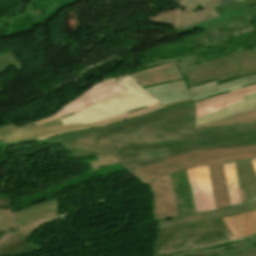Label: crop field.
I'll use <instances>...</instances> for the list:
<instances>
[{"label": "crop field", "mask_w": 256, "mask_h": 256, "mask_svg": "<svg viewBox=\"0 0 256 256\" xmlns=\"http://www.w3.org/2000/svg\"><path fill=\"white\" fill-rule=\"evenodd\" d=\"M193 102L109 125L117 158L130 171L191 150L256 145V121L194 130Z\"/></svg>", "instance_id": "crop-field-1"}, {"label": "crop field", "mask_w": 256, "mask_h": 256, "mask_svg": "<svg viewBox=\"0 0 256 256\" xmlns=\"http://www.w3.org/2000/svg\"><path fill=\"white\" fill-rule=\"evenodd\" d=\"M234 38L239 39L237 35L203 45H211L214 48L221 44L226 47L227 45L223 44V42L227 40L235 42ZM248 41L250 42L249 45L253 46V50L242 51L243 48H241L231 53L230 48L232 47L227 46L228 48L224 52L203 60L198 57L200 56L198 53L203 52V50L195 51L194 48L195 52L188 56L178 55V58H170L167 61L154 57L151 58V63H146L136 69L141 71L152 66L174 61L181 75L187 77L188 87L213 79L221 82L237 76L256 73V35L249 32Z\"/></svg>", "instance_id": "crop-field-2"}, {"label": "crop field", "mask_w": 256, "mask_h": 256, "mask_svg": "<svg viewBox=\"0 0 256 256\" xmlns=\"http://www.w3.org/2000/svg\"><path fill=\"white\" fill-rule=\"evenodd\" d=\"M256 158V146L191 151L134 170L145 181L154 180L181 169L209 164L216 207L230 206L222 162Z\"/></svg>", "instance_id": "crop-field-3"}, {"label": "crop field", "mask_w": 256, "mask_h": 256, "mask_svg": "<svg viewBox=\"0 0 256 256\" xmlns=\"http://www.w3.org/2000/svg\"><path fill=\"white\" fill-rule=\"evenodd\" d=\"M236 242L221 218L214 217L159 231L155 256L203 249Z\"/></svg>", "instance_id": "crop-field-4"}, {"label": "crop field", "mask_w": 256, "mask_h": 256, "mask_svg": "<svg viewBox=\"0 0 256 256\" xmlns=\"http://www.w3.org/2000/svg\"><path fill=\"white\" fill-rule=\"evenodd\" d=\"M216 10L220 17L177 32L180 36L198 30L205 31L184 40V43L190 40L199 42L188 48L256 29V0H242L216 7Z\"/></svg>", "instance_id": "crop-field-5"}, {"label": "crop field", "mask_w": 256, "mask_h": 256, "mask_svg": "<svg viewBox=\"0 0 256 256\" xmlns=\"http://www.w3.org/2000/svg\"><path fill=\"white\" fill-rule=\"evenodd\" d=\"M116 80L126 91L89 108L61 118L65 124H86L138 110L159 101L145 92L128 74Z\"/></svg>", "instance_id": "crop-field-6"}, {"label": "crop field", "mask_w": 256, "mask_h": 256, "mask_svg": "<svg viewBox=\"0 0 256 256\" xmlns=\"http://www.w3.org/2000/svg\"><path fill=\"white\" fill-rule=\"evenodd\" d=\"M38 143L53 145L63 144L67 151H77L69 154L73 156V158L97 154L98 160L89 162L94 169L119 163L110 142L106 126L64 135Z\"/></svg>", "instance_id": "crop-field-7"}, {"label": "crop field", "mask_w": 256, "mask_h": 256, "mask_svg": "<svg viewBox=\"0 0 256 256\" xmlns=\"http://www.w3.org/2000/svg\"><path fill=\"white\" fill-rule=\"evenodd\" d=\"M256 83V75L244 77L233 82L219 85L215 80L188 88L183 81L177 80L169 83L145 87L148 93L158 99L162 105L183 99L193 98L200 101L225 92Z\"/></svg>", "instance_id": "crop-field-8"}, {"label": "crop field", "mask_w": 256, "mask_h": 256, "mask_svg": "<svg viewBox=\"0 0 256 256\" xmlns=\"http://www.w3.org/2000/svg\"><path fill=\"white\" fill-rule=\"evenodd\" d=\"M7 196L0 197V231L10 230L29 222L59 216L57 199L12 213Z\"/></svg>", "instance_id": "crop-field-9"}, {"label": "crop field", "mask_w": 256, "mask_h": 256, "mask_svg": "<svg viewBox=\"0 0 256 256\" xmlns=\"http://www.w3.org/2000/svg\"><path fill=\"white\" fill-rule=\"evenodd\" d=\"M124 92L121 86L114 80H105L81 96L77 99L69 103L67 106L56 112L55 114L48 116L46 118L40 119L38 121L33 122L36 126L44 124L46 122L61 118L63 116L69 115L72 112H77L81 109L89 107L93 104H96L100 101L108 99L112 96L120 94Z\"/></svg>", "instance_id": "crop-field-10"}, {"label": "crop field", "mask_w": 256, "mask_h": 256, "mask_svg": "<svg viewBox=\"0 0 256 256\" xmlns=\"http://www.w3.org/2000/svg\"><path fill=\"white\" fill-rule=\"evenodd\" d=\"M240 0H184L178 18L177 31L218 17L214 7Z\"/></svg>", "instance_id": "crop-field-11"}, {"label": "crop field", "mask_w": 256, "mask_h": 256, "mask_svg": "<svg viewBox=\"0 0 256 256\" xmlns=\"http://www.w3.org/2000/svg\"><path fill=\"white\" fill-rule=\"evenodd\" d=\"M154 194L155 221L178 217L176 196L170 175L148 182Z\"/></svg>", "instance_id": "crop-field-12"}, {"label": "crop field", "mask_w": 256, "mask_h": 256, "mask_svg": "<svg viewBox=\"0 0 256 256\" xmlns=\"http://www.w3.org/2000/svg\"><path fill=\"white\" fill-rule=\"evenodd\" d=\"M256 93V84L194 103L195 120L243 101L244 96Z\"/></svg>", "instance_id": "crop-field-13"}, {"label": "crop field", "mask_w": 256, "mask_h": 256, "mask_svg": "<svg viewBox=\"0 0 256 256\" xmlns=\"http://www.w3.org/2000/svg\"><path fill=\"white\" fill-rule=\"evenodd\" d=\"M191 101H193V100L192 99L183 100V101H179V102H175V103L166 104L164 106H162L161 103H158V104L151 105V106H148L146 108L140 109L138 111L128 113L126 115H122V116H118V117H114V118H110V119L90 123V124H87V126L77 127V128H73V129H69V130H65V131H61V132L52 133V134H49V135H46V136H43V137H40V138L34 137V138L25 139V140H21V141H17V142H12V143H8V144H5V145L10 146V145H15V144H20V143L34 142V141H39V140H43V139H47V138H51V137H55V136H59V135H64V134H68V133H72V132L92 129V128H96V127H99V126L113 124V123H117V122H120V121L132 119L136 116H139V115H142V114H145V113L154 112V111H157V110L169 107V106H173V105H177V104H181V103H186V102H191Z\"/></svg>", "instance_id": "crop-field-14"}, {"label": "crop field", "mask_w": 256, "mask_h": 256, "mask_svg": "<svg viewBox=\"0 0 256 256\" xmlns=\"http://www.w3.org/2000/svg\"><path fill=\"white\" fill-rule=\"evenodd\" d=\"M129 75H131L142 87L182 78L174 62Z\"/></svg>", "instance_id": "crop-field-15"}, {"label": "crop field", "mask_w": 256, "mask_h": 256, "mask_svg": "<svg viewBox=\"0 0 256 256\" xmlns=\"http://www.w3.org/2000/svg\"><path fill=\"white\" fill-rule=\"evenodd\" d=\"M242 202L256 198V174L250 159L235 162Z\"/></svg>", "instance_id": "crop-field-16"}, {"label": "crop field", "mask_w": 256, "mask_h": 256, "mask_svg": "<svg viewBox=\"0 0 256 256\" xmlns=\"http://www.w3.org/2000/svg\"><path fill=\"white\" fill-rule=\"evenodd\" d=\"M197 186L202 212L216 210L208 165L191 168Z\"/></svg>", "instance_id": "crop-field-17"}, {"label": "crop field", "mask_w": 256, "mask_h": 256, "mask_svg": "<svg viewBox=\"0 0 256 256\" xmlns=\"http://www.w3.org/2000/svg\"><path fill=\"white\" fill-rule=\"evenodd\" d=\"M42 247L30 245L18 231L0 235V256L32 253Z\"/></svg>", "instance_id": "crop-field-18"}, {"label": "crop field", "mask_w": 256, "mask_h": 256, "mask_svg": "<svg viewBox=\"0 0 256 256\" xmlns=\"http://www.w3.org/2000/svg\"><path fill=\"white\" fill-rule=\"evenodd\" d=\"M253 209L254 207L250 204V202H247L239 206L229 207V208H225V209H221L213 212L193 214V215H189V216H185L177 219L160 221V222H157V224L159 228L162 229V228L174 226L177 224L188 223V222H192V221H196V220H200V219H204L212 216H215L216 218H218V217H224L228 215H235V214H239V213L246 212Z\"/></svg>", "instance_id": "crop-field-19"}, {"label": "crop field", "mask_w": 256, "mask_h": 256, "mask_svg": "<svg viewBox=\"0 0 256 256\" xmlns=\"http://www.w3.org/2000/svg\"><path fill=\"white\" fill-rule=\"evenodd\" d=\"M229 232L236 239L249 236L256 228V210L223 218Z\"/></svg>", "instance_id": "crop-field-20"}, {"label": "crop field", "mask_w": 256, "mask_h": 256, "mask_svg": "<svg viewBox=\"0 0 256 256\" xmlns=\"http://www.w3.org/2000/svg\"><path fill=\"white\" fill-rule=\"evenodd\" d=\"M171 176L177 196L179 215L195 212L186 170Z\"/></svg>", "instance_id": "crop-field-21"}, {"label": "crop field", "mask_w": 256, "mask_h": 256, "mask_svg": "<svg viewBox=\"0 0 256 256\" xmlns=\"http://www.w3.org/2000/svg\"><path fill=\"white\" fill-rule=\"evenodd\" d=\"M216 251L219 256H256V239L244 241L235 245L227 246L216 250H197L169 256H187Z\"/></svg>", "instance_id": "crop-field-22"}, {"label": "crop field", "mask_w": 256, "mask_h": 256, "mask_svg": "<svg viewBox=\"0 0 256 256\" xmlns=\"http://www.w3.org/2000/svg\"><path fill=\"white\" fill-rule=\"evenodd\" d=\"M253 96H256V94L244 97L245 101H243L241 103H238L234 106H231L227 109H224L222 111L211 114V115L206 116L204 118L198 119V120L195 121V125H199V124L211 122V121H214V120L234 116V115H237V114L242 113L244 111L255 109L256 108V101H255Z\"/></svg>", "instance_id": "crop-field-23"}, {"label": "crop field", "mask_w": 256, "mask_h": 256, "mask_svg": "<svg viewBox=\"0 0 256 256\" xmlns=\"http://www.w3.org/2000/svg\"><path fill=\"white\" fill-rule=\"evenodd\" d=\"M38 3L34 5L39 9L44 10V14L35 18L40 24L50 18L55 13L63 8L75 3L77 0H37Z\"/></svg>", "instance_id": "crop-field-24"}, {"label": "crop field", "mask_w": 256, "mask_h": 256, "mask_svg": "<svg viewBox=\"0 0 256 256\" xmlns=\"http://www.w3.org/2000/svg\"><path fill=\"white\" fill-rule=\"evenodd\" d=\"M60 125H64V123L60 119L49 122L47 124H44V125H41V126H38V127H36L33 123H30V124L25 125L23 127L14 128V129H12L8 132H5V133L1 134L0 135V141L5 140V139H9V138H13V137H17V136H21V135H25V134H29V133H33V132H36V131H40V130L60 126Z\"/></svg>", "instance_id": "crop-field-25"}, {"label": "crop field", "mask_w": 256, "mask_h": 256, "mask_svg": "<svg viewBox=\"0 0 256 256\" xmlns=\"http://www.w3.org/2000/svg\"><path fill=\"white\" fill-rule=\"evenodd\" d=\"M231 206L241 202L234 162L223 163Z\"/></svg>", "instance_id": "crop-field-26"}, {"label": "crop field", "mask_w": 256, "mask_h": 256, "mask_svg": "<svg viewBox=\"0 0 256 256\" xmlns=\"http://www.w3.org/2000/svg\"><path fill=\"white\" fill-rule=\"evenodd\" d=\"M250 120H256V109L244 112L242 114H239L234 117L214 121L211 123L195 126L196 128H204V127H210V126H218V125H225V124H233V123H239L243 121H250Z\"/></svg>", "instance_id": "crop-field-27"}, {"label": "crop field", "mask_w": 256, "mask_h": 256, "mask_svg": "<svg viewBox=\"0 0 256 256\" xmlns=\"http://www.w3.org/2000/svg\"><path fill=\"white\" fill-rule=\"evenodd\" d=\"M178 11H179V8L170 12H165L155 16H151L146 19L155 24L168 25L172 28H175Z\"/></svg>", "instance_id": "crop-field-28"}, {"label": "crop field", "mask_w": 256, "mask_h": 256, "mask_svg": "<svg viewBox=\"0 0 256 256\" xmlns=\"http://www.w3.org/2000/svg\"><path fill=\"white\" fill-rule=\"evenodd\" d=\"M77 126H82V125H64V126L52 128V129H49V130H45V131H41V132L25 135V136H22V137L6 140V141H3V143L17 141V140H21V139H25V138L34 137V136L40 137V136H43V135H46V134H49V133H52V132H56V131H60V130H65V129H69V128H73V127H77Z\"/></svg>", "instance_id": "crop-field-29"}, {"label": "crop field", "mask_w": 256, "mask_h": 256, "mask_svg": "<svg viewBox=\"0 0 256 256\" xmlns=\"http://www.w3.org/2000/svg\"><path fill=\"white\" fill-rule=\"evenodd\" d=\"M57 218H60V217H57ZM57 218L36 221L34 223H31V224H28L26 226H23V227L19 228V232L22 233L25 236V239H26L33 231H35L37 228H39L45 222L50 221V220H54V219H57Z\"/></svg>", "instance_id": "crop-field-30"}, {"label": "crop field", "mask_w": 256, "mask_h": 256, "mask_svg": "<svg viewBox=\"0 0 256 256\" xmlns=\"http://www.w3.org/2000/svg\"><path fill=\"white\" fill-rule=\"evenodd\" d=\"M187 172H188V177H189L190 187H191V191H192L195 210H196V213H199V212H201V210H200V205H199L196 186H195V183H194V180H193L191 170L189 169V170H187Z\"/></svg>", "instance_id": "crop-field-31"}, {"label": "crop field", "mask_w": 256, "mask_h": 256, "mask_svg": "<svg viewBox=\"0 0 256 256\" xmlns=\"http://www.w3.org/2000/svg\"><path fill=\"white\" fill-rule=\"evenodd\" d=\"M12 127H14V125H11V126H7V127L0 128V133H1V132H4V131H6V130H8V129L12 128Z\"/></svg>", "instance_id": "crop-field-32"}, {"label": "crop field", "mask_w": 256, "mask_h": 256, "mask_svg": "<svg viewBox=\"0 0 256 256\" xmlns=\"http://www.w3.org/2000/svg\"><path fill=\"white\" fill-rule=\"evenodd\" d=\"M251 160H252L253 168L256 172V159H251Z\"/></svg>", "instance_id": "crop-field-33"}, {"label": "crop field", "mask_w": 256, "mask_h": 256, "mask_svg": "<svg viewBox=\"0 0 256 256\" xmlns=\"http://www.w3.org/2000/svg\"><path fill=\"white\" fill-rule=\"evenodd\" d=\"M174 1L178 4V6H180L183 0H174Z\"/></svg>", "instance_id": "crop-field-34"}, {"label": "crop field", "mask_w": 256, "mask_h": 256, "mask_svg": "<svg viewBox=\"0 0 256 256\" xmlns=\"http://www.w3.org/2000/svg\"><path fill=\"white\" fill-rule=\"evenodd\" d=\"M251 204L255 207L256 209V200L255 201H252Z\"/></svg>", "instance_id": "crop-field-35"}, {"label": "crop field", "mask_w": 256, "mask_h": 256, "mask_svg": "<svg viewBox=\"0 0 256 256\" xmlns=\"http://www.w3.org/2000/svg\"><path fill=\"white\" fill-rule=\"evenodd\" d=\"M214 254H216L215 252H213V253H208L207 255L209 256V255H211V256H213ZM218 256V255H217Z\"/></svg>", "instance_id": "crop-field-36"}, {"label": "crop field", "mask_w": 256, "mask_h": 256, "mask_svg": "<svg viewBox=\"0 0 256 256\" xmlns=\"http://www.w3.org/2000/svg\"><path fill=\"white\" fill-rule=\"evenodd\" d=\"M252 236H256V235H252ZM249 237H251V236H249ZM245 238H247V237H245ZM239 239H241V238H239Z\"/></svg>", "instance_id": "crop-field-37"}, {"label": "crop field", "mask_w": 256, "mask_h": 256, "mask_svg": "<svg viewBox=\"0 0 256 256\" xmlns=\"http://www.w3.org/2000/svg\"><path fill=\"white\" fill-rule=\"evenodd\" d=\"M255 99H256V97H255Z\"/></svg>", "instance_id": "crop-field-38"}]
</instances>
